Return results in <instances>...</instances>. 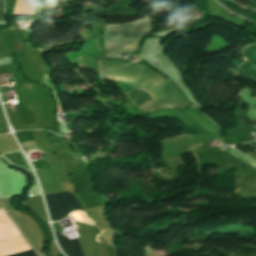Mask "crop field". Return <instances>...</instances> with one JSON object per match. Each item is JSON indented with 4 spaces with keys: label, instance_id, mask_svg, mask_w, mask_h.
<instances>
[{
    "label": "crop field",
    "instance_id": "dd49c442",
    "mask_svg": "<svg viewBox=\"0 0 256 256\" xmlns=\"http://www.w3.org/2000/svg\"><path fill=\"white\" fill-rule=\"evenodd\" d=\"M245 145H249V146H251V147H253V148L256 149V141L251 142V143H247V144H245Z\"/></svg>",
    "mask_w": 256,
    "mask_h": 256
},
{
    "label": "crop field",
    "instance_id": "8a807250",
    "mask_svg": "<svg viewBox=\"0 0 256 256\" xmlns=\"http://www.w3.org/2000/svg\"><path fill=\"white\" fill-rule=\"evenodd\" d=\"M98 78L109 79L146 91L153 100L140 106L151 112L160 108H187L192 105L169 80L145 65H129L121 60H97ZM136 107L144 114L142 107Z\"/></svg>",
    "mask_w": 256,
    "mask_h": 256
},
{
    "label": "crop field",
    "instance_id": "412701ff",
    "mask_svg": "<svg viewBox=\"0 0 256 256\" xmlns=\"http://www.w3.org/2000/svg\"><path fill=\"white\" fill-rule=\"evenodd\" d=\"M57 238L68 256H84L83 251L77 239L69 240L65 236L61 235L60 232L56 233Z\"/></svg>",
    "mask_w": 256,
    "mask_h": 256
},
{
    "label": "crop field",
    "instance_id": "d8731c3e",
    "mask_svg": "<svg viewBox=\"0 0 256 256\" xmlns=\"http://www.w3.org/2000/svg\"><path fill=\"white\" fill-rule=\"evenodd\" d=\"M5 212V211H4ZM9 218V217H8ZM11 221V220H10ZM15 227V226H14ZM17 230V229H16ZM18 231V230H17ZM19 232V231H18ZM20 234V233H19ZM21 235V234H20Z\"/></svg>",
    "mask_w": 256,
    "mask_h": 256
},
{
    "label": "crop field",
    "instance_id": "e52e79f7",
    "mask_svg": "<svg viewBox=\"0 0 256 256\" xmlns=\"http://www.w3.org/2000/svg\"><path fill=\"white\" fill-rule=\"evenodd\" d=\"M3 0H0V15H2Z\"/></svg>",
    "mask_w": 256,
    "mask_h": 256
},
{
    "label": "crop field",
    "instance_id": "34b2d1b8",
    "mask_svg": "<svg viewBox=\"0 0 256 256\" xmlns=\"http://www.w3.org/2000/svg\"><path fill=\"white\" fill-rule=\"evenodd\" d=\"M45 196L49 205L52 221L82 211V208L70 193L59 192Z\"/></svg>",
    "mask_w": 256,
    "mask_h": 256
},
{
    "label": "crop field",
    "instance_id": "f4fd0767",
    "mask_svg": "<svg viewBox=\"0 0 256 256\" xmlns=\"http://www.w3.org/2000/svg\"><path fill=\"white\" fill-rule=\"evenodd\" d=\"M11 256H35V254L33 253L32 250H30V251L22 252V253L11 255Z\"/></svg>",
    "mask_w": 256,
    "mask_h": 256
},
{
    "label": "crop field",
    "instance_id": "ac0d7876",
    "mask_svg": "<svg viewBox=\"0 0 256 256\" xmlns=\"http://www.w3.org/2000/svg\"><path fill=\"white\" fill-rule=\"evenodd\" d=\"M150 17L121 25H106L104 57L121 58L120 54L138 50L142 38L150 30Z\"/></svg>",
    "mask_w": 256,
    "mask_h": 256
}]
</instances>
